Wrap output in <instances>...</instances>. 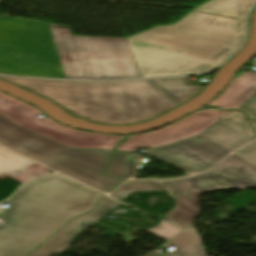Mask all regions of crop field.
<instances>
[{"label":"crop field","instance_id":"obj_7","mask_svg":"<svg viewBox=\"0 0 256 256\" xmlns=\"http://www.w3.org/2000/svg\"><path fill=\"white\" fill-rule=\"evenodd\" d=\"M0 113L26 129L75 148L113 150L123 137L82 132L61 125L34 107L0 92ZM44 117L39 119L38 115Z\"/></svg>","mask_w":256,"mask_h":256},{"label":"crop field","instance_id":"obj_22","mask_svg":"<svg viewBox=\"0 0 256 256\" xmlns=\"http://www.w3.org/2000/svg\"><path fill=\"white\" fill-rule=\"evenodd\" d=\"M234 110L245 111L248 119L256 118V93L254 96Z\"/></svg>","mask_w":256,"mask_h":256},{"label":"crop field","instance_id":"obj_19","mask_svg":"<svg viewBox=\"0 0 256 256\" xmlns=\"http://www.w3.org/2000/svg\"><path fill=\"white\" fill-rule=\"evenodd\" d=\"M167 189L156 181H128L121 185L119 189L113 192L110 196L120 200L127 197L131 192Z\"/></svg>","mask_w":256,"mask_h":256},{"label":"crop field","instance_id":"obj_1","mask_svg":"<svg viewBox=\"0 0 256 256\" xmlns=\"http://www.w3.org/2000/svg\"><path fill=\"white\" fill-rule=\"evenodd\" d=\"M245 21L191 12L178 23L127 38L140 77L197 74L237 49Z\"/></svg>","mask_w":256,"mask_h":256},{"label":"crop field","instance_id":"obj_20","mask_svg":"<svg viewBox=\"0 0 256 256\" xmlns=\"http://www.w3.org/2000/svg\"><path fill=\"white\" fill-rule=\"evenodd\" d=\"M127 154L114 152L112 155V163L105 171L106 174L119 178H127L131 175L132 163L125 160Z\"/></svg>","mask_w":256,"mask_h":256},{"label":"crop field","instance_id":"obj_3","mask_svg":"<svg viewBox=\"0 0 256 256\" xmlns=\"http://www.w3.org/2000/svg\"><path fill=\"white\" fill-rule=\"evenodd\" d=\"M0 79L56 101L77 117L109 124H132L156 117L176 106L149 80L75 82Z\"/></svg>","mask_w":256,"mask_h":256},{"label":"crop field","instance_id":"obj_17","mask_svg":"<svg viewBox=\"0 0 256 256\" xmlns=\"http://www.w3.org/2000/svg\"><path fill=\"white\" fill-rule=\"evenodd\" d=\"M174 199L176 201V206L171 212L168 213L164 221L184 229L185 227L194 223L195 218L200 214V212L176 197H174Z\"/></svg>","mask_w":256,"mask_h":256},{"label":"crop field","instance_id":"obj_16","mask_svg":"<svg viewBox=\"0 0 256 256\" xmlns=\"http://www.w3.org/2000/svg\"><path fill=\"white\" fill-rule=\"evenodd\" d=\"M256 0H211L194 11L245 19L247 10Z\"/></svg>","mask_w":256,"mask_h":256},{"label":"crop field","instance_id":"obj_8","mask_svg":"<svg viewBox=\"0 0 256 256\" xmlns=\"http://www.w3.org/2000/svg\"><path fill=\"white\" fill-rule=\"evenodd\" d=\"M159 183L174 191V196L200 211L201 194L227 188H256V165L234 153L208 173Z\"/></svg>","mask_w":256,"mask_h":256},{"label":"crop field","instance_id":"obj_9","mask_svg":"<svg viewBox=\"0 0 256 256\" xmlns=\"http://www.w3.org/2000/svg\"><path fill=\"white\" fill-rule=\"evenodd\" d=\"M229 152L231 151L198 134L164 147L150 149L149 154L196 174L215 165Z\"/></svg>","mask_w":256,"mask_h":256},{"label":"crop field","instance_id":"obj_12","mask_svg":"<svg viewBox=\"0 0 256 256\" xmlns=\"http://www.w3.org/2000/svg\"><path fill=\"white\" fill-rule=\"evenodd\" d=\"M243 115L231 112L201 134L233 151L256 139L248 122L241 121Z\"/></svg>","mask_w":256,"mask_h":256},{"label":"crop field","instance_id":"obj_21","mask_svg":"<svg viewBox=\"0 0 256 256\" xmlns=\"http://www.w3.org/2000/svg\"><path fill=\"white\" fill-rule=\"evenodd\" d=\"M146 231L156 236H159L165 240L169 239L170 237L174 236L176 233L179 232V230L174 229L162 222L158 227Z\"/></svg>","mask_w":256,"mask_h":256},{"label":"crop field","instance_id":"obj_23","mask_svg":"<svg viewBox=\"0 0 256 256\" xmlns=\"http://www.w3.org/2000/svg\"><path fill=\"white\" fill-rule=\"evenodd\" d=\"M236 153L256 164V143Z\"/></svg>","mask_w":256,"mask_h":256},{"label":"crop field","instance_id":"obj_11","mask_svg":"<svg viewBox=\"0 0 256 256\" xmlns=\"http://www.w3.org/2000/svg\"><path fill=\"white\" fill-rule=\"evenodd\" d=\"M120 205L122 204L118 201L104 195L93 211L70 221L29 256H52L66 252L76 234L83 231L88 225L99 222L106 214Z\"/></svg>","mask_w":256,"mask_h":256},{"label":"crop field","instance_id":"obj_14","mask_svg":"<svg viewBox=\"0 0 256 256\" xmlns=\"http://www.w3.org/2000/svg\"><path fill=\"white\" fill-rule=\"evenodd\" d=\"M196 232V231H195ZM193 228H188L177 235L167 244L175 247L174 251L161 255L154 251L147 256H205L204 248L200 241V236L196 234Z\"/></svg>","mask_w":256,"mask_h":256},{"label":"crop field","instance_id":"obj_2","mask_svg":"<svg viewBox=\"0 0 256 256\" xmlns=\"http://www.w3.org/2000/svg\"><path fill=\"white\" fill-rule=\"evenodd\" d=\"M102 194L61 175L23 186L0 209V256H26L71 218L91 209Z\"/></svg>","mask_w":256,"mask_h":256},{"label":"crop field","instance_id":"obj_5","mask_svg":"<svg viewBox=\"0 0 256 256\" xmlns=\"http://www.w3.org/2000/svg\"><path fill=\"white\" fill-rule=\"evenodd\" d=\"M66 79L139 78L126 39L72 36L49 24Z\"/></svg>","mask_w":256,"mask_h":256},{"label":"crop field","instance_id":"obj_13","mask_svg":"<svg viewBox=\"0 0 256 256\" xmlns=\"http://www.w3.org/2000/svg\"><path fill=\"white\" fill-rule=\"evenodd\" d=\"M255 92L256 73L242 72V74L234 79L225 91L208 104V106L232 109L251 98Z\"/></svg>","mask_w":256,"mask_h":256},{"label":"crop field","instance_id":"obj_24","mask_svg":"<svg viewBox=\"0 0 256 256\" xmlns=\"http://www.w3.org/2000/svg\"><path fill=\"white\" fill-rule=\"evenodd\" d=\"M252 126L254 127V129L256 130V119L255 120H250Z\"/></svg>","mask_w":256,"mask_h":256},{"label":"crop field","instance_id":"obj_6","mask_svg":"<svg viewBox=\"0 0 256 256\" xmlns=\"http://www.w3.org/2000/svg\"><path fill=\"white\" fill-rule=\"evenodd\" d=\"M0 73L65 79L49 25L0 16Z\"/></svg>","mask_w":256,"mask_h":256},{"label":"crop field","instance_id":"obj_10","mask_svg":"<svg viewBox=\"0 0 256 256\" xmlns=\"http://www.w3.org/2000/svg\"><path fill=\"white\" fill-rule=\"evenodd\" d=\"M228 113L217 110L195 111L180 121L158 131L127 136L128 140L119 145L116 150L131 152L143 147L153 148L163 146L202 132Z\"/></svg>","mask_w":256,"mask_h":256},{"label":"crop field","instance_id":"obj_15","mask_svg":"<svg viewBox=\"0 0 256 256\" xmlns=\"http://www.w3.org/2000/svg\"><path fill=\"white\" fill-rule=\"evenodd\" d=\"M150 81L178 104L187 101L205 88V86L201 85H191L187 77L154 79Z\"/></svg>","mask_w":256,"mask_h":256},{"label":"crop field","instance_id":"obj_18","mask_svg":"<svg viewBox=\"0 0 256 256\" xmlns=\"http://www.w3.org/2000/svg\"><path fill=\"white\" fill-rule=\"evenodd\" d=\"M33 162L26 160L2 147H0V173L9 172L16 176L27 171Z\"/></svg>","mask_w":256,"mask_h":256},{"label":"crop field","instance_id":"obj_4","mask_svg":"<svg viewBox=\"0 0 256 256\" xmlns=\"http://www.w3.org/2000/svg\"><path fill=\"white\" fill-rule=\"evenodd\" d=\"M0 145L103 192L121 181L102 174L111 152L75 150L28 131L1 114Z\"/></svg>","mask_w":256,"mask_h":256}]
</instances>
